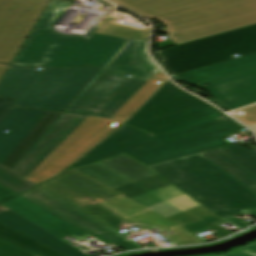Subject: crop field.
I'll list each match as a JSON object with an SVG mask.
<instances>
[{
  "mask_svg": "<svg viewBox=\"0 0 256 256\" xmlns=\"http://www.w3.org/2000/svg\"><path fill=\"white\" fill-rule=\"evenodd\" d=\"M170 82L115 134L72 167L123 154L149 166L229 145L220 136L240 131L241 125Z\"/></svg>",
  "mask_w": 256,
  "mask_h": 256,
  "instance_id": "crop-field-1",
  "label": "crop field"
},
{
  "mask_svg": "<svg viewBox=\"0 0 256 256\" xmlns=\"http://www.w3.org/2000/svg\"><path fill=\"white\" fill-rule=\"evenodd\" d=\"M40 187L117 231L126 229L137 235L157 228L167 231L161 235L173 246L202 243L181 225L73 169ZM132 226L140 230L133 232Z\"/></svg>",
  "mask_w": 256,
  "mask_h": 256,
  "instance_id": "crop-field-2",
  "label": "crop field"
},
{
  "mask_svg": "<svg viewBox=\"0 0 256 256\" xmlns=\"http://www.w3.org/2000/svg\"><path fill=\"white\" fill-rule=\"evenodd\" d=\"M167 26L175 44L256 23V0H110Z\"/></svg>",
  "mask_w": 256,
  "mask_h": 256,
  "instance_id": "crop-field-3",
  "label": "crop field"
},
{
  "mask_svg": "<svg viewBox=\"0 0 256 256\" xmlns=\"http://www.w3.org/2000/svg\"><path fill=\"white\" fill-rule=\"evenodd\" d=\"M71 3L51 0L12 64L75 68H104L129 41L94 34L108 16H103L87 37L67 36L51 28L65 15Z\"/></svg>",
  "mask_w": 256,
  "mask_h": 256,
  "instance_id": "crop-field-4",
  "label": "crop field"
},
{
  "mask_svg": "<svg viewBox=\"0 0 256 256\" xmlns=\"http://www.w3.org/2000/svg\"><path fill=\"white\" fill-rule=\"evenodd\" d=\"M149 167L238 229L250 225L233 216L256 218V194L201 153Z\"/></svg>",
  "mask_w": 256,
  "mask_h": 256,
  "instance_id": "crop-field-5",
  "label": "crop field"
},
{
  "mask_svg": "<svg viewBox=\"0 0 256 256\" xmlns=\"http://www.w3.org/2000/svg\"><path fill=\"white\" fill-rule=\"evenodd\" d=\"M10 66L0 96L21 97L14 107L64 112L102 71L99 68L49 69Z\"/></svg>",
  "mask_w": 256,
  "mask_h": 256,
  "instance_id": "crop-field-6",
  "label": "crop field"
},
{
  "mask_svg": "<svg viewBox=\"0 0 256 256\" xmlns=\"http://www.w3.org/2000/svg\"><path fill=\"white\" fill-rule=\"evenodd\" d=\"M159 52L171 75L245 56L256 52V25Z\"/></svg>",
  "mask_w": 256,
  "mask_h": 256,
  "instance_id": "crop-field-7",
  "label": "crop field"
},
{
  "mask_svg": "<svg viewBox=\"0 0 256 256\" xmlns=\"http://www.w3.org/2000/svg\"><path fill=\"white\" fill-rule=\"evenodd\" d=\"M2 205L11 210L0 214V222L68 256H87L61 240L68 236L86 240L90 235L21 196Z\"/></svg>",
  "mask_w": 256,
  "mask_h": 256,
  "instance_id": "crop-field-8",
  "label": "crop field"
},
{
  "mask_svg": "<svg viewBox=\"0 0 256 256\" xmlns=\"http://www.w3.org/2000/svg\"><path fill=\"white\" fill-rule=\"evenodd\" d=\"M103 70L65 111L111 119L149 80Z\"/></svg>",
  "mask_w": 256,
  "mask_h": 256,
  "instance_id": "crop-field-9",
  "label": "crop field"
},
{
  "mask_svg": "<svg viewBox=\"0 0 256 256\" xmlns=\"http://www.w3.org/2000/svg\"><path fill=\"white\" fill-rule=\"evenodd\" d=\"M100 163L206 225L223 221L150 168L126 155Z\"/></svg>",
  "mask_w": 256,
  "mask_h": 256,
  "instance_id": "crop-field-10",
  "label": "crop field"
},
{
  "mask_svg": "<svg viewBox=\"0 0 256 256\" xmlns=\"http://www.w3.org/2000/svg\"><path fill=\"white\" fill-rule=\"evenodd\" d=\"M122 124L89 117L26 179L37 184L57 176Z\"/></svg>",
  "mask_w": 256,
  "mask_h": 256,
  "instance_id": "crop-field-11",
  "label": "crop field"
},
{
  "mask_svg": "<svg viewBox=\"0 0 256 256\" xmlns=\"http://www.w3.org/2000/svg\"><path fill=\"white\" fill-rule=\"evenodd\" d=\"M50 0H0V63L11 64Z\"/></svg>",
  "mask_w": 256,
  "mask_h": 256,
  "instance_id": "crop-field-12",
  "label": "crop field"
},
{
  "mask_svg": "<svg viewBox=\"0 0 256 256\" xmlns=\"http://www.w3.org/2000/svg\"><path fill=\"white\" fill-rule=\"evenodd\" d=\"M87 118V116L62 113L11 171L26 178Z\"/></svg>",
  "mask_w": 256,
  "mask_h": 256,
  "instance_id": "crop-field-13",
  "label": "crop field"
},
{
  "mask_svg": "<svg viewBox=\"0 0 256 256\" xmlns=\"http://www.w3.org/2000/svg\"><path fill=\"white\" fill-rule=\"evenodd\" d=\"M228 111L256 103V68L196 84Z\"/></svg>",
  "mask_w": 256,
  "mask_h": 256,
  "instance_id": "crop-field-14",
  "label": "crop field"
},
{
  "mask_svg": "<svg viewBox=\"0 0 256 256\" xmlns=\"http://www.w3.org/2000/svg\"><path fill=\"white\" fill-rule=\"evenodd\" d=\"M45 112L11 109L0 123V164ZM10 131L8 134L4 133ZM5 161V160H4Z\"/></svg>",
  "mask_w": 256,
  "mask_h": 256,
  "instance_id": "crop-field-15",
  "label": "crop field"
},
{
  "mask_svg": "<svg viewBox=\"0 0 256 256\" xmlns=\"http://www.w3.org/2000/svg\"><path fill=\"white\" fill-rule=\"evenodd\" d=\"M147 44L130 40L105 68L152 77L159 69L147 55Z\"/></svg>",
  "mask_w": 256,
  "mask_h": 256,
  "instance_id": "crop-field-16",
  "label": "crop field"
},
{
  "mask_svg": "<svg viewBox=\"0 0 256 256\" xmlns=\"http://www.w3.org/2000/svg\"><path fill=\"white\" fill-rule=\"evenodd\" d=\"M256 67V53L230 61L218 63L201 69L193 70L183 74L173 76L189 83H200L228 74L236 73L246 69Z\"/></svg>",
  "mask_w": 256,
  "mask_h": 256,
  "instance_id": "crop-field-17",
  "label": "crop field"
},
{
  "mask_svg": "<svg viewBox=\"0 0 256 256\" xmlns=\"http://www.w3.org/2000/svg\"><path fill=\"white\" fill-rule=\"evenodd\" d=\"M203 154L256 193V175L224 150L219 148Z\"/></svg>",
  "mask_w": 256,
  "mask_h": 256,
  "instance_id": "crop-field-18",
  "label": "crop field"
},
{
  "mask_svg": "<svg viewBox=\"0 0 256 256\" xmlns=\"http://www.w3.org/2000/svg\"><path fill=\"white\" fill-rule=\"evenodd\" d=\"M60 114L61 113L46 112L1 165L11 170Z\"/></svg>",
  "mask_w": 256,
  "mask_h": 256,
  "instance_id": "crop-field-19",
  "label": "crop field"
},
{
  "mask_svg": "<svg viewBox=\"0 0 256 256\" xmlns=\"http://www.w3.org/2000/svg\"><path fill=\"white\" fill-rule=\"evenodd\" d=\"M98 34L148 41L150 27L141 26L134 19L126 21L113 20L108 17L104 24L96 32Z\"/></svg>",
  "mask_w": 256,
  "mask_h": 256,
  "instance_id": "crop-field-20",
  "label": "crop field"
},
{
  "mask_svg": "<svg viewBox=\"0 0 256 256\" xmlns=\"http://www.w3.org/2000/svg\"><path fill=\"white\" fill-rule=\"evenodd\" d=\"M153 77L165 79L164 81L150 79L131 100L112 118L126 121L145 101H147L168 79L159 70Z\"/></svg>",
  "mask_w": 256,
  "mask_h": 256,
  "instance_id": "crop-field-21",
  "label": "crop field"
},
{
  "mask_svg": "<svg viewBox=\"0 0 256 256\" xmlns=\"http://www.w3.org/2000/svg\"><path fill=\"white\" fill-rule=\"evenodd\" d=\"M0 238L43 256H66L2 223H0Z\"/></svg>",
  "mask_w": 256,
  "mask_h": 256,
  "instance_id": "crop-field-22",
  "label": "crop field"
},
{
  "mask_svg": "<svg viewBox=\"0 0 256 256\" xmlns=\"http://www.w3.org/2000/svg\"><path fill=\"white\" fill-rule=\"evenodd\" d=\"M0 183L20 194L35 184L0 166Z\"/></svg>",
  "mask_w": 256,
  "mask_h": 256,
  "instance_id": "crop-field-23",
  "label": "crop field"
},
{
  "mask_svg": "<svg viewBox=\"0 0 256 256\" xmlns=\"http://www.w3.org/2000/svg\"><path fill=\"white\" fill-rule=\"evenodd\" d=\"M226 152L256 174V153L239 146L222 147Z\"/></svg>",
  "mask_w": 256,
  "mask_h": 256,
  "instance_id": "crop-field-24",
  "label": "crop field"
},
{
  "mask_svg": "<svg viewBox=\"0 0 256 256\" xmlns=\"http://www.w3.org/2000/svg\"><path fill=\"white\" fill-rule=\"evenodd\" d=\"M0 256H41L0 239Z\"/></svg>",
  "mask_w": 256,
  "mask_h": 256,
  "instance_id": "crop-field-25",
  "label": "crop field"
},
{
  "mask_svg": "<svg viewBox=\"0 0 256 256\" xmlns=\"http://www.w3.org/2000/svg\"><path fill=\"white\" fill-rule=\"evenodd\" d=\"M240 111L246 112L245 116H237L234 112L231 115L244 122L248 126L252 127L256 132V105L242 109ZM251 128V129H252Z\"/></svg>",
  "mask_w": 256,
  "mask_h": 256,
  "instance_id": "crop-field-26",
  "label": "crop field"
},
{
  "mask_svg": "<svg viewBox=\"0 0 256 256\" xmlns=\"http://www.w3.org/2000/svg\"><path fill=\"white\" fill-rule=\"evenodd\" d=\"M19 98H5L0 97V121L9 112V110L14 106Z\"/></svg>",
  "mask_w": 256,
  "mask_h": 256,
  "instance_id": "crop-field-27",
  "label": "crop field"
},
{
  "mask_svg": "<svg viewBox=\"0 0 256 256\" xmlns=\"http://www.w3.org/2000/svg\"><path fill=\"white\" fill-rule=\"evenodd\" d=\"M18 194L12 192L11 190L7 189L6 187L0 185V202L7 200L11 197H14Z\"/></svg>",
  "mask_w": 256,
  "mask_h": 256,
  "instance_id": "crop-field-28",
  "label": "crop field"
},
{
  "mask_svg": "<svg viewBox=\"0 0 256 256\" xmlns=\"http://www.w3.org/2000/svg\"><path fill=\"white\" fill-rule=\"evenodd\" d=\"M238 251L256 256V243L237 249Z\"/></svg>",
  "mask_w": 256,
  "mask_h": 256,
  "instance_id": "crop-field-29",
  "label": "crop field"
},
{
  "mask_svg": "<svg viewBox=\"0 0 256 256\" xmlns=\"http://www.w3.org/2000/svg\"><path fill=\"white\" fill-rule=\"evenodd\" d=\"M211 256H251V255H247V254H244V253L234 250V251L228 252L224 255H211Z\"/></svg>",
  "mask_w": 256,
  "mask_h": 256,
  "instance_id": "crop-field-30",
  "label": "crop field"
},
{
  "mask_svg": "<svg viewBox=\"0 0 256 256\" xmlns=\"http://www.w3.org/2000/svg\"><path fill=\"white\" fill-rule=\"evenodd\" d=\"M8 68L9 66L0 64V80L2 79Z\"/></svg>",
  "mask_w": 256,
  "mask_h": 256,
  "instance_id": "crop-field-31",
  "label": "crop field"
},
{
  "mask_svg": "<svg viewBox=\"0 0 256 256\" xmlns=\"http://www.w3.org/2000/svg\"><path fill=\"white\" fill-rule=\"evenodd\" d=\"M7 210H9V209H7V208H5V207L0 205V213L5 212Z\"/></svg>",
  "mask_w": 256,
  "mask_h": 256,
  "instance_id": "crop-field-32",
  "label": "crop field"
}]
</instances>
